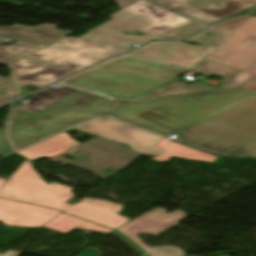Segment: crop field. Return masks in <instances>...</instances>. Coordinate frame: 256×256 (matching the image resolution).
<instances>
[{
  "instance_id": "1",
  "label": "crop field",
  "mask_w": 256,
  "mask_h": 256,
  "mask_svg": "<svg viewBox=\"0 0 256 256\" xmlns=\"http://www.w3.org/2000/svg\"><path fill=\"white\" fill-rule=\"evenodd\" d=\"M255 93L232 90L150 101H123L77 90L38 110L13 108L7 137L17 151L99 115L167 137Z\"/></svg>"
},
{
  "instance_id": "2",
  "label": "crop field",
  "mask_w": 256,
  "mask_h": 256,
  "mask_svg": "<svg viewBox=\"0 0 256 256\" xmlns=\"http://www.w3.org/2000/svg\"><path fill=\"white\" fill-rule=\"evenodd\" d=\"M186 71L123 56L90 68L59 84L111 98L135 99L173 83Z\"/></svg>"
},
{
  "instance_id": "3",
  "label": "crop field",
  "mask_w": 256,
  "mask_h": 256,
  "mask_svg": "<svg viewBox=\"0 0 256 256\" xmlns=\"http://www.w3.org/2000/svg\"><path fill=\"white\" fill-rule=\"evenodd\" d=\"M175 135L174 140L186 144L242 156L256 147V95Z\"/></svg>"
},
{
  "instance_id": "4",
  "label": "crop field",
  "mask_w": 256,
  "mask_h": 256,
  "mask_svg": "<svg viewBox=\"0 0 256 256\" xmlns=\"http://www.w3.org/2000/svg\"><path fill=\"white\" fill-rule=\"evenodd\" d=\"M110 17L113 19L81 37L132 47L133 43L141 45L190 22L144 0L110 15ZM135 30L145 35L139 37L121 33L122 31L131 33Z\"/></svg>"
},
{
  "instance_id": "5",
  "label": "crop field",
  "mask_w": 256,
  "mask_h": 256,
  "mask_svg": "<svg viewBox=\"0 0 256 256\" xmlns=\"http://www.w3.org/2000/svg\"><path fill=\"white\" fill-rule=\"evenodd\" d=\"M129 49L131 48L67 37L28 57L76 72Z\"/></svg>"
},
{
  "instance_id": "6",
  "label": "crop field",
  "mask_w": 256,
  "mask_h": 256,
  "mask_svg": "<svg viewBox=\"0 0 256 256\" xmlns=\"http://www.w3.org/2000/svg\"><path fill=\"white\" fill-rule=\"evenodd\" d=\"M73 188L59 184L48 185L34 171L30 161L26 160L13 176L0 188V197L43 205L64 211L65 204L75 194Z\"/></svg>"
},
{
  "instance_id": "7",
  "label": "crop field",
  "mask_w": 256,
  "mask_h": 256,
  "mask_svg": "<svg viewBox=\"0 0 256 256\" xmlns=\"http://www.w3.org/2000/svg\"><path fill=\"white\" fill-rule=\"evenodd\" d=\"M74 129L94 134L127 145L131 150L148 156H157L163 151L155 144L162 138L136 129L111 118L95 119Z\"/></svg>"
},
{
  "instance_id": "8",
  "label": "crop field",
  "mask_w": 256,
  "mask_h": 256,
  "mask_svg": "<svg viewBox=\"0 0 256 256\" xmlns=\"http://www.w3.org/2000/svg\"><path fill=\"white\" fill-rule=\"evenodd\" d=\"M185 217L183 211L178 210L167 214L163 208H158L123 225L117 230L129 237L150 256H185L180 247L161 246L151 248L137 237L139 233L156 235L177 225L178 221Z\"/></svg>"
},
{
  "instance_id": "9",
  "label": "crop field",
  "mask_w": 256,
  "mask_h": 256,
  "mask_svg": "<svg viewBox=\"0 0 256 256\" xmlns=\"http://www.w3.org/2000/svg\"><path fill=\"white\" fill-rule=\"evenodd\" d=\"M205 58L243 70L256 59V17L218 45Z\"/></svg>"
},
{
  "instance_id": "10",
  "label": "crop field",
  "mask_w": 256,
  "mask_h": 256,
  "mask_svg": "<svg viewBox=\"0 0 256 256\" xmlns=\"http://www.w3.org/2000/svg\"><path fill=\"white\" fill-rule=\"evenodd\" d=\"M202 1L206 0H160L155 3L204 25L256 5V0H209L217 5L207 8L200 4Z\"/></svg>"
},
{
  "instance_id": "11",
  "label": "crop field",
  "mask_w": 256,
  "mask_h": 256,
  "mask_svg": "<svg viewBox=\"0 0 256 256\" xmlns=\"http://www.w3.org/2000/svg\"><path fill=\"white\" fill-rule=\"evenodd\" d=\"M214 48V46L161 41L148 44L129 55L191 69Z\"/></svg>"
},
{
  "instance_id": "12",
  "label": "crop field",
  "mask_w": 256,
  "mask_h": 256,
  "mask_svg": "<svg viewBox=\"0 0 256 256\" xmlns=\"http://www.w3.org/2000/svg\"><path fill=\"white\" fill-rule=\"evenodd\" d=\"M60 213L32 204L0 199V222L7 226L39 228Z\"/></svg>"
},
{
  "instance_id": "13",
  "label": "crop field",
  "mask_w": 256,
  "mask_h": 256,
  "mask_svg": "<svg viewBox=\"0 0 256 256\" xmlns=\"http://www.w3.org/2000/svg\"><path fill=\"white\" fill-rule=\"evenodd\" d=\"M191 70L194 72H197L203 76H206V77H210V76L221 77V78H223L221 80V82H223V83L220 87L213 88V87H209L204 84H201V83H192V84L186 86L180 82H175L167 87H164L160 90L152 92V93L145 95L139 99L164 97V96L176 95V94H184V93L221 89L232 78H234L238 73L241 72V70H238V69L205 59V58H203Z\"/></svg>"
},
{
  "instance_id": "14",
  "label": "crop field",
  "mask_w": 256,
  "mask_h": 256,
  "mask_svg": "<svg viewBox=\"0 0 256 256\" xmlns=\"http://www.w3.org/2000/svg\"><path fill=\"white\" fill-rule=\"evenodd\" d=\"M10 67L13 70V79L20 90V96L29 94L24 87L27 84L41 88L73 74L27 57L10 65Z\"/></svg>"
},
{
  "instance_id": "15",
  "label": "crop field",
  "mask_w": 256,
  "mask_h": 256,
  "mask_svg": "<svg viewBox=\"0 0 256 256\" xmlns=\"http://www.w3.org/2000/svg\"><path fill=\"white\" fill-rule=\"evenodd\" d=\"M122 208L123 205L108 200L85 198L64 212L117 229L130 220L118 215Z\"/></svg>"
},
{
  "instance_id": "16",
  "label": "crop field",
  "mask_w": 256,
  "mask_h": 256,
  "mask_svg": "<svg viewBox=\"0 0 256 256\" xmlns=\"http://www.w3.org/2000/svg\"><path fill=\"white\" fill-rule=\"evenodd\" d=\"M56 25L44 24L36 28L14 25L11 28L0 27V36L19 39L23 42L47 45L59 39L66 32L53 30Z\"/></svg>"
},
{
  "instance_id": "17",
  "label": "crop field",
  "mask_w": 256,
  "mask_h": 256,
  "mask_svg": "<svg viewBox=\"0 0 256 256\" xmlns=\"http://www.w3.org/2000/svg\"><path fill=\"white\" fill-rule=\"evenodd\" d=\"M78 144L77 141L63 132L17 154L31 161L40 157H51Z\"/></svg>"
},
{
  "instance_id": "18",
  "label": "crop field",
  "mask_w": 256,
  "mask_h": 256,
  "mask_svg": "<svg viewBox=\"0 0 256 256\" xmlns=\"http://www.w3.org/2000/svg\"><path fill=\"white\" fill-rule=\"evenodd\" d=\"M159 148H161L165 153L154 157L150 160L160 161L164 162L171 158L172 156L178 157L181 159L186 160H192V161H198V162H204V163H211L216 158L211 154H208L206 152L188 148L186 146L177 144L175 142L163 139L158 144H156Z\"/></svg>"
},
{
  "instance_id": "19",
  "label": "crop field",
  "mask_w": 256,
  "mask_h": 256,
  "mask_svg": "<svg viewBox=\"0 0 256 256\" xmlns=\"http://www.w3.org/2000/svg\"><path fill=\"white\" fill-rule=\"evenodd\" d=\"M252 16L250 14L235 18L229 21L218 23L211 28L199 33L193 38L183 41L189 43H197V44H207L217 46L227 37H229L233 32H235L240 26H242L247 20H249ZM204 33H210L213 35L212 38H207L204 36Z\"/></svg>"
},
{
  "instance_id": "20",
  "label": "crop field",
  "mask_w": 256,
  "mask_h": 256,
  "mask_svg": "<svg viewBox=\"0 0 256 256\" xmlns=\"http://www.w3.org/2000/svg\"><path fill=\"white\" fill-rule=\"evenodd\" d=\"M43 227H46L64 234L74 230L75 228L107 233V234L114 231L112 229L70 216L64 212H62L60 215H58L49 223L45 224Z\"/></svg>"
},
{
  "instance_id": "21",
  "label": "crop field",
  "mask_w": 256,
  "mask_h": 256,
  "mask_svg": "<svg viewBox=\"0 0 256 256\" xmlns=\"http://www.w3.org/2000/svg\"><path fill=\"white\" fill-rule=\"evenodd\" d=\"M73 91H75V89H71L63 86H61L57 90H54L51 87H49L38 93L33 94L32 102L26 107H20V108L37 110L64 97L65 95Z\"/></svg>"
},
{
  "instance_id": "22",
  "label": "crop field",
  "mask_w": 256,
  "mask_h": 256,
  "mask_svg": "<svg viewBox=\"0 0 256 256\" xmlns=\"http://www.w3.org/2000/svg\"><path fill=\"white\" fill-rule=\"evenodd\" d=\"M40 47L18 43L13 47L3 45L0 48V63L7 64Z\"/></svg>"
},
{
  "instance_id": "23",
  "label": "crop field",
  "mask_w": 256,
  "mask_h": 256,
  "mask_svg": "<svg viewBox=\"0 0 256 256\" xmlns=\"http://www.w3.org/2000/svg\"><path fill=\"white\" fill-rule=\"evenodd\" d=\"M252 76L254 77L243 84L241 88L256 91V60H254L248 67H246L239 75L232 79L223 88L238 87Z\"/></svg>"
},
{
  "instance_id": "24",
  "label": "crop field",
  "mask_w": 256,
  "mask_h": 256,
  "mask_svg": "<svg viewBox=\"0 0 256 256\" xmlns=\"http://www.w3.org/2000/svg\"><path fill=\"white\" fill-rule=\"evenodd\" d=\"M203 28L202 25L190 22L184 26H181L173 31H170L164 35H161L155 39H168V40H178L185 39L194 32H197ZM195 34V33H194Z\"/></svg>"
},
{
  "instance_id": "25",
  "label": "crop field",
  "mask_w": 256,
  "mask_h": 256,
  "mask_svg": "<svg viewBox=\"0 0 256 256\" xmlns=\"http://www.w3.org/2000/svg\"><path fill=\"white\" fill-rule=\"evenodd\" d=\"M0 91H12V93L9 96H0V107L10 104L14 96L17 95L16 89H14V86L12 85L10 78L0 77Z\"/></svg>"
},
{
  "instance_id": "26",
  "label": "crop field",
  "mask_w": 256,
  "mask_h": 256,
  "mask_svg": "<svg viewBox=\"0 0 256 256\" xmlns=\"http://www.w3.org/2000/svg\"><path fill=\"white\" fill-rule=\"evenodd\" d=\"M115 234L117 237H119L121 240H123L125 243H127L130 247H132L136 252H138L140 255L144 254L138 247H136L133 243H131L129 240H127L125 237H123L121 234L118 232L114 231L112 232Z\"/></svg>"
},
{
  "instance_id": "27",
  "label": "crop field",
  "mask_w": 256,
  "mask_h": 256,
  "mask_svg": "<svg viewBox=\"0 0 256 256\" xmlns=\"http://www.w3.org/2000/svg\"><path fill=\"white\" fill-rule=\"evenodd\" d=\"M121 9L139 1V0H115Z\"/></svg>"
},
{
  "instance_id": "28",
  "label": "crop field",
  "mask_w": 256,
  "mask_h": 256,
  "mask_svg": "<svg viewBox=\"0 0 256 256\" xmlns=\"http://www.w3.org/2000/svg\"><path fill=\"white\" fill-rule=\"evenodd\" d=\"M79 256H100V253L97 249H89L80 254Z\"/></svg>"
},
{
  "instance_id": "29",
  "label": "crop field",
  "mask_w": 256,
  "mask_h": 256,
  "mask_svg": "<svg viewBox=\"0 0 256 256\" xmlns=\"http://www.w3.org/2000/svg\"><path fill=\"white\" fill-rule=\"evenodd\" d=\"M20 254H22V253L8 250L1 256H19Z\"/></svg>"
},
{
  "instance_id": "30",
  "label": "crop field",
  "mask_w": 256,
  "mask_h": 256,
  "mask_svg": "<svg viewBox=\"0 0 256 256\" xmlns=\"http://www.w3.org/2000/svg\"><path fill=\"white\" fill-rule=\"evenodd\" d=\"M243 157H256V148L245 154Z\"/></svg>"
},
{
  "instance_id": "31",
  "label": "crop field",
  "mask_w": 256,
  "mask_h": 256,
  "mask_svg": "<svg viewBox=\"0 0 256 256\" xmlns=\"http://www.w3.org/2000/svg\"><path fill=\"white\" fill-rule=\"evenodd\" d=\"M203 5L207 6V7H213L215 6V4L209 2V1H206V2H202Z\"/></svg>"
},
{
  "instance_id": "32",
  "label": "crop field",
  "mask_w": 256,
  "mask_h": 256,
  "mask_svg": "<svg viewBox=\"0 0 256 256\" xmlns=\"http://www.w3.org/2000/svg\"><path fill=\"white\" fill-rule=\"evenodd\" d=\"M255 8H256V6H254V7L250 8V9H247V10H245V11H243V12H240V13H238V14H236V15H239V14H242V13L249 12V11H251V10L255 9ZM236 15H233V16H236ZM231 17H232V16H231Z\"/></svg>"
},
{
  "instance_id": "33",
  "label": "crop field",
  "mask_w": 256,
  "mask_h": 256,
  "mask_svg": "<svg viewBox=\"0 0 256 256\" xmlns=\"http://www.w3.org/2000/svg\"><path fill=\"white\" fill-rule=\"evenodd\" d=\"M3 130L0 129V143L4 142L3 136H2Z\"/></svg>"
},
{
  "instance_id": "34",
  "label": "crop field",
  "mask_w": 256,
  "mask_h": 256,
  "mask_svg": "<svg viewBox=\"0 0 256 256\" xmlns=\"http://www.w3.org/2000/svg\"><path fill=\"white\" fill-rule=\"evenodd\" d=\"M6 182V180L0 179V187Z\"/></svg>"
},
{
  "instance_id": "35",
  "label": "crop field",
  "mask_w": 256,
  "mask_h": 256,
  "mask_svg": "<svg viewBox=\"0 0 256 256\" xmlns=\"http://www.w3.org/2000/svg\"><path fill=\"white\" fill-rule=\"evenodd\" d=\"M151 1H154V0H151Z\"/></svg>"
}]
</instances>
